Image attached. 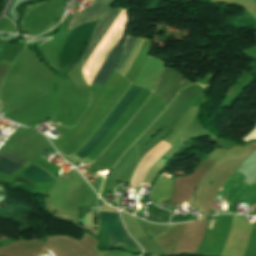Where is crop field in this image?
<instances>
[{
    "instance_id": "8a807250",
    "label": "crop field",
    "mask_w": 256,
    "mask_h": 256,
    "mask_svg": "<svg viewBox=\"0 0 256 256\" xmlns=\"http://www.w3.org/2000/svg\"><path fill=\"white\" fill-rule=\"evenodd\" d=\"M119 10L120 8L113 10L98 23L95 29V32L92 36V39L81 59V66L83 65V63L85 62V60L87 59V57L89 56V54L91 53V51L93 50V48L95 47L99 39L102 37V35L104 34V32L106 31V29L108 28V26L110 25V23L112 22V20L114 19V17L116 16ZM122 56H123V45L121 40L118 46L116 47L115 51L113 52V54L111 55V57L109 58L105 66L103 67V69L101 70L100 74L94 81V83L104 85V83L108 79L113 69L121 60Z\"/></svg>"
},
{
    "instance_id": "ac0d7876",
    "label": "crop field",
    "mask_w": 256,
    "mask_h": 256,
    "mask_svg": "<svg viewBox=\"0 0 256 256\" xmlns=\"http://www.w3.org/2000/svg\"><path fill=\"white\" fill-rule=\"evenodd\" d=\"M93 25L94 22L85 23L73 29L59 57L60 67L70 69L79 60L89 39Z\"/></svg>"
},
{
    "instance_id": "34b2d1b8",
    "label": "crop field",
    "mask_w": 256,
    "mask_h": 256,
    "mask_svg": "<svg viewBox=\"0 0 256 256\" xmlns=\"http://www.w3.org/2000/svg\"><path fill=\"white\" fill-rule=\"evenodd\" d=\"M99 224L110 246H137L115 213L99 212Z\"/></svg>"
},
{
    "instance_id": "412701ff",
    "label": "crop field",
    "mask_w": 256,
    "mask_h": 256,
    "mask_svg": "<svg viewBox=\"0 0 256 256\" xmlns=\"http://www.w3.org/2000/svg\"><path fill=\"white\" fill-rule=\"evenodd\" d=\"M139 87L133 85L131 90L128 92L123 101L118 105V107L113 111V113L109 116V118L104 122V124L99 128L96 134L92 137L89 143L83 148V150L79 153V155L86 156L87 153L99 142V140L103 137V135L107 132V130L111 127V125L115 122V120L119 117L122 111L126 108V106L130 103L136 93L139 91Z\"/></svg>"
},
{
    "instance_id": "f4fd0767",
    "label": "crop field",
    "mask_w": 256,
    "mask_h": 256,
    "mask_svg": "<svg viewBox=\"0 0 256 256\" xmlns=\"http://www.w3.org/2000/svg\"><path fill=\"white\" fill-rule=\"evenodd\" d=\"M111 2L112 0H96L95 5L92 9L88 10L85 13L73 15L67 29L71 30L72 28L83 22L95 21L100 19L101 16L106 12Z\"/></svg>"
},
{
    "instance_id": "dd49c442",
    "label": "crop field",
    "mask_w": 256,
    "mask_h": 256,
    "mask_svg": "<svg viewBox=\"0 0 256 256\" xmlns=\"http://www.w3.org/2000/svg\"><path fill=\"white\" fill-rule=\"evenodd\" d=\"M9 155L19 159L20 161H22L28 165L31 163V162L27 161L26 159H24L23 157H21L17 154H14L12 152H10ZM13 157H10L8 155L0 153V169L17 175L24 168H26L27 165L23 164L22 162L18 161L17 159H15Z\"/></svg>"
},
{
    "instance_id": "e52e79f7",
    "label": "crop field",
    "mask_w": 256,
    "mask_h": 256,
    "mask_svg": "<svg viewBox=\"0 0 256 256\" xmlns=\"http://www.w3.org/2000/svg\"><path fill=\"white\" fill-rule=\"evenodd\" d=\"M23 174L28 176L33 182H51L54 178L44 169L32 164Z\"/></svg>"
},
{
    "instance_id": "d8731c3e",
    "label": "crop field",
    "mask_w": 256,
    "mask_h": 256,
    "mask_svg": "<svg viewBox=\"0 0 256 256\" xmlns=\"http://www.w3.org/2000/svg\"><path fill=\"white\" fill-rule=\"evenodd\" d=\"M135 40H136V38H129V39L126 40V43H125V57H124L122 63H121V64L119 65V67L116 69L117 71H119L120 68H121V67L123 66V64L125 63V61H126L128 55H129V53H130V51H131V49H132V47H133V45H134V43H135ZM132 63H133V62H132ZM131 65H132V64H131ZM130 67H131V66H130Z\"/></svg>"
},
{
    "instance_id": "5a996713",
    "label": "crop field",
    "mask_w": 256,
    "mask_h": 256,
    "mask_svg": "<svg viewBox=\"0 0 256 256\" xmlns=\"http://www.w3.org/2000/svg\"><path fill=\"white\" fill-rule=\"evenodd\" d=\"M251 140H256V127L253 129V131L247 135L245 138L242 139V141L249 142Z\"/></svg>"
},
{
    "instance_id": "3316defc",
    "label": "crop field",
    "mask_w": 256,
    "mask_h": 256,
    "mask_svg": "<svg viewBox=\"0 0 256 256\" xmlns=\"http://www.w3.org/2000/svg\"><path fill=\"white\" fill-rule=\"evenodd\" d=\"M216 221H217V220L211 219V220H210V224H209V228L214 229V228H215Z\"/></svg>"
},
{
    "instance_id": "28ad6ade",
    "label": "crop field",
    "mask_w": 256,
    "mask_h": 256,
    "mask_svg": "<svg viewBox=\"0 0 256 256\" xmlns=\"http://www.w3.org/2000/svg\"><path fill=\"white\" fill-rule=\"evenodd\" d=\"M169 149V147L156 159V161Z\"/></svg>"
},
{
    "instance_id": "d1516ede",
    "label": "crop field",
    "mask_w": 256,
    "mask_h": 256,
    "mask_svg": "<svg viewBox=\"0 0 256 256\" xmlns=\"http://www.w3.org/2000/svg\"><path fill=\"white\" fill-rule=\"evenodd\" d=\"M0 189H3V188H0Z\"/></svg>"
}]
</instances>
